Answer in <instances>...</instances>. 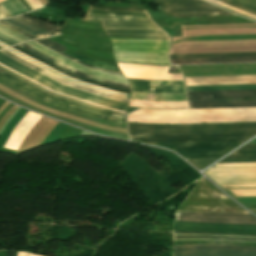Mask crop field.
Returning a JSON list of instances; mask_svg holds the SVG:
<instances>
[{"mask_svg": "<svg viewBox=\"0 0 256 256\" xmlns=\"http://www.w3.org/2000/svg\"><path fill=\"white\" fill-rule=\"evenodd\" d=\"M191 248H226V249H240V250H253V247H241V246H230V245H195V246H174V249H191Z\"/></svg>", "mask_w": 256, "mask_h": 256, "instance_id": "obj_26", "label": "crop field"}, {"mask_svg": "<svg viewBox=\"0 0 256 256\" xmlns=\"http://www.w3.org/2000/svg\"><path fill=\"white\" fill-rule=\"evenodd\" d=\"M0 37L5 38L15 44L21 43L27 40H31L5 26L0 25Z\"/></svg>", "mask_w": 256, "mask_h": 256, "instance_id": "obj_23", "label": "crop field"}, {"mask_svg": "<svg viewBox=\"0 0 256 256\" xmlns=\"http://www.w3.org/2000/svg\"><path fill=\"white\" fill-rule=\"evenodd\" d=\"M13 16L28 12L25 6L19 0H7L0 3Z\"/></svg>", "mask_w": 256, "mask_h": 256, "instance_id": "obj_24", "label": "crop field"}, {"mask_svg": "<svg viewBox=\"0 0 256 256\" xmlns=\"http://www.w3.org/2000/svg\"><path fill=\"white\" fill-rule=\"evenodd\" d=\"M245 56H256V53L170 55L171 59L215 58V57H245ZM171 62H172L173 65L217 64V63H247V62H256V57L216 58V59H186V60H171Z\"/></svg>", "mask_w": 256, "mask_h": 256, "instance_id": "obj_10", "label": "crop field"}, {"mask_svg": "<svg viewBox=\"0 0 256 256\" xmlns=\"http://www.w3.org/2000/svg\"><path fill=\"white\" fill-rule=\"evenodd\" d=\"M252 189H256V188H252ZM225 190L229 195H231L232 197H236L235 195H233L231 192H229L227 189H223Z\"/></svg>", "mask_w": 256, "mask_h": 256, "instance_id": "obj_41", "label": "crop field"}, {"mask_svg": "<svg viewBox=\"0 0 256 256\" xmlns=\"http://www.w3.org/2000/svg\"><path fill=\"white\" fill-rule=\"evenodd\" d=\"M0 52H2L3 54H5V55H7V56H9V57H11V58H13V59L23 63V64H25V65L35 69V70H37V71H39V72H41V73H43V74H45L47 76H49L50 78H52V79H54V80H56V81H58V82H60V83H62L64 85H66V86H70V87H73V88H77V89H81V90H84V91L92 92V93H95V94H98V95H101V96H104V97H108V98H111V99L129 102V99L119 98V97H116V96H113V95H110V94H106V93H103V92H100V91H96V90H93V89H90V88H86V87H83V86H80V85H76V84L67 82V81H65V80H63V79H61V78H59V77H57V76H55V75L45 71V70H43V69H41V68H39V67L29 63V62H27V61L17 57V56H15V55H13V54L5 51V50H1Z\"/></svg>", "mask_w": 256, "mask_h": 256, "instance_id": "obj_16", "label": "crop field"}, {"mask_svg": "<svg viewBox=\"0 0 256 256\" xmlns=\"http://www.w3.org/2000/svg\"><path fill=\"white\" fill-rule=\"evenodd\" d=\"M245 103H256V100L189 102V106H190V109L256 107V104H245ZM211 104H245V105H211ZM193 105H211V106H193Z\"/></svg>", "mask_w": 256, "mask_h": 256, "instance_id": "obj_18", "label": "crop field"}, {"mask_svg": "<svg viewBox=\"0 0 256 256\" xmlns=\"http://www.w3.org/2000/svg\"><path fill=\"white\" fill-rule=\"evenodd\" d=\"M0 42L6 44V45H8V46L14 45V44H12V43H10V42H8V41L2 39V38H0Z\"/></svg>", "mask_w": 256, "mask_h": 256, "instance_id": "obj_39", "label": "crop field"}, {"mask_svg": "<svg viewBox=\"0 0 256 256\" xmlns=\"http://www.w3.org/2000/svg\"><path fill=\"white\" fill-rule=\"evenodd\" d=\"M128 126L131 140L148 144L244 142L256 134V123Z\"/></svg>", "mask_w": 256, "mask_h": 256, "instance_id": "obj_1", "label": "crop field"}, {"mask_svg": "<svg viewBox=\"0 0 256 256\" xmlns=\"http://www.w3.org/2000/svg\"><path fill=\"white\" fill-rule=\"evenodd\" d=\"M174 17L235 16L200 0H155ZM238 16V15H237Z\"/></svg>", "mask_w": 256, "mask_h": 256, "instance_id": "obj_7", "label": "crop field"}, {"mask_svg": "<svg viewBox=\"0 0 256 256\" xmlns=\"http://www.w3.org/2000/svg\"><path fill=\"white\" fill-rule=\"evenodd\" d=\"M71 57H73V58H75V59H77V60H79L83 63H87L89 65L95 66L97 68L108 69V70L120 72L117 65H110V64H107V63L92 61V60L86 59V58H84V57H82V56H80L76 53H74Z\"/></svg>", "mask_w": 256, "mask_h": 256, "instance_id": "obj_25", "label": "crop field"}, {"mask_svg": "<svg viewBox=\"0 0 256 256\" xmlns=\"http://www.w3.org/2000/svg\"><path fill=\"white\" fill-rule=\"evenodd\" d=\"M36 41H37L38 43H40V44H42V45H44V46H46V47L52 49V50H54V51H56V52H58V53L64 55V56L68 57L69 59H71V60H73V61H75V62H77V63H79V64H81V65H83V66H88V65H86V64H83V63H81V62H79V61H77V60H75V59H73V58H71V57H69V56H67V55H65V54H63V53H61V52H59V51L53 49V48H51V47H49L48 45H46V44H44V43H42V42H40V41H38V40H36ZM88 67H91V66H88ZM92 68H94V67H92ZM95 69H97V68H95ZM98 70H101V69H98ZM101 71H105V72H109V73H115V74H121V75H122V73H117V72H112V71H106V70H101Z\"/></svg>", "mask_w": 256, "mask_h": 256, "instance_id": "obj_32", "label": "crop field"}, {"mask_svg": "<svg viewBox=\"0 0 256 256\" xmlns=\"http://www.w3.org/2000/svg\"><path fill=\"white\" fill-rule=\"evenodd\" d=\"M26 3L31 7L32 10L42 7L38 0H25Z\"/></svg>", "mask_w": 256, "mask_h": 256, "instance_id": "obj_34", "label": "crop field"}, {"mask_svg": "<svg viewBox=\"0 0 256 256\" xmlns=\"http://www.w3.org/2000/svg\"><path fill=\"white\" fill-rule=\"evenodd\" d=\"M0 63L4 64L5 66L33 79L34 81L63 94L72 96V97H76V98H80L83 100H87L96 104H100L109 108H113V109H117V110H123L126 111L128 108V103L125 102H120V101H115V100H111V99H107L104 97H100V96H96V95H92L83 91H79L70 87H66L44 75H42L41 73L30 69L18 62H16L15 60L3 55L2 53H0Z\"/></svg>", "mask_w": 256, "mask_h": 256, "instance_id": "obj_4", "label": "crop field"}, {"mask_svg": "<svg viewBox=\"0 0 256 256\" xmlns=\"http://www.w3.org/2000/svg\"><path fill=\"white\" fill-rule=\"evenodd\" d=\"M73 81V80H72ZM75 82V81H74ZM77 83V82H76ZM80 84V83H79ZM84 85V84H83ZM88 86V85H87ZM92 87V86H91ZM96 88V87H95ZM99 89V88H98ZM102 90V89H101ZM105 91V90H104ZM130 95H127V98H129Z\"/></svg>", "mask_w": 256, "mask_h": 256, "instance_id": "obj_44", "label": "crop field"}, {"mask_svg": "<svg viewBox=\"0 0 256 256\" xmlns=\"http://www.w3.org/2000/svg\"><path fill=\"white\" fill-rule=\"evenodd\" d=\"M256 162V155L254 156H228L219 163H244Z\"/></svg>", "mask_w": 256, "mask_h": 256, "instance_id": "obj_27", "label": "crop field"}, {"mask_svg": "<svg viewBox=\"0 0 256 256\" xmlns=\"http://www.w3.org/2000/svg\"><path fill=\"white\" fill-rule=\"evenodd\" d=\"M189 100L256 98V90L188 92Z\"/></svg>", "mask_w": 256, "mask_h": 256, "instance_id": "obj_14", "label": "crop field"}, {"mask_svg": "<svg viewBox=\"0 0 256 256\" xmlns=\"http://www.w3.org/2000/svg\"><path fill=\"white\" fill-rule=\"evenodd\" d=\"M0 23L3 24V25H5V26H7V27H9V28H11V29H13V30H15V31H17V32H19V33H21V34H24V35H26V36H28V37H30V38H32V39H35V38L29 36L28 34L22 32V31H19V30L15 29V28H13V27H11V26H8V25L2 23V22H0Z\"/></svg>", "mask_w": 256, "mask_h": 256, "instance_id": "obj_38", "label": "crop field"}, {"mask_svg": "<svg viewBox=\"0 0 256 256\" xmlns=\"http://www.w3.org/2000/svg\"><path fill=\"white\" fill-rule=\"evenodd\" d=\"M177 211L183 212H227L249 214L206 179H201L192 189Z\"/></svg>", "mask_w": 256, "mask_h": 256, "instance_id": "obj_3", "label": "crop field"}, {"mask_svg": "<svg viewBox=\"0 0 256 256\" xmlns=\"http://www.w3.org/2000/svg\"><path fill=\"white\" fill-rule=\"evenodd\" d=\"M173 233H185V234H208V233H190V232H173ZM226 235V234H223ZM233 236H252V235H233Z\"/></svg>", "mask_w": 256, "mask_h": 256, "instance_id": "obj_37", "label": "crop field"}, {"mask_svg": "<svg viewBox=\"0 0 256 256\" xmlns=\"http://www.w3.org/2000/svg\"><path fill=\"white\" fill-rule=\"evenodd\" d=\"M16 18H18V19H20L22 21H25L27 23L33 24L35 26H38V27H40V28H42V29H44V30L54 34V35L59 34V32L62 30V29H60V28H58V27H56L54 25H51V24L46 23V22H43L41 20L29 18V17H27L25 15H22V16H19V17H16Z\"/></svg>", "mask_w": 256, "mask_h": 256, "instance_id": "obj_22", "label": "crop field"}, {"mask_svg": "<svg viewBox=\"0 0 256 256\" xmlns=\"http://www.w3.org/2000/svg\"><path fill=\"white\" fill-rule=\"evenodd\" d=\"M127 80L131 91L185 93L183 81Z\"/></svg>", "mask_w": 256, "mask_h": 256, "instance_id": "obj_13", "label": "crop field"}, {"mask_svg": "<svg viewBox=\"0 0 256 256\" xmlns=\"http://www.w3.org/2000/svg\"><path fill=\"white\" fill-rule=\"evenodd\" d=\"M249 210L256 212V209H254V208H249Z\"/></svg>", "mask_w": 256, "mask_h": 256, "instance_id": "obj_43", "label": "crop field"}, {"mask_svg": "<svg viewBox=\"0 0 256 256\" xmlns=\"http://www.w3.org/2000/svg\"><path fill=\"white\" fill-rule=\"evenodd\" d=\"M174 238H222V237H174ZM223 239H235V238H223ZM238 240L256 241V239H238Z\"/></svg>", "mask_w": 256, "mask_h": 256, "instance_id": "obj_35", "label": "crop field"}, {"mask_svg": "<svg viewBox=\"0 0 256 256\" xmlns=\"http://www.w3.org/2000/svg\"><path fill=\"white\" fill-rule=\"evenodd\" d=\"M214 165L205 172L220 188L256 187V163ZM217 166V167H215ZM215 167V168H214ZM214 168V169H213ZM213 169V170H211ZM211 170V171H210ZM210 171V172H208ZM213 176L211 177L208 173Z\"/></svg>", "mask_w": 256, "mask_h": 256, "instance_id": "obj_6", "label": "crop field"}, {"mask_svg": "<svg viewBox=\"0 0 256 256\" xmlns=\"http://www.w3.org/2000/svg\"><path fill=\"white\" fill-rule=\"evenodd\" d=\"M3 22L19 29L22 30L28 34H30L31 36L35 37V38H42V37H49V36H53L33 25L27 24L25 22H22L16 18L13 19H8V20H2Z\"/></svg>", "mask_w": 256, "mask_h": 256, "instance_id": "obj_19", "label": "crop field"}, {"mask_svg": "<svg viewBox=\"0 0 256 256\" xmlns=\"http://www.w3.org/2000/svg\"><path fill=\"white\" fill-rule=\"evenodd\" d=\"M256 153V144H246L232 154H254Z\"/></svg>", "mask_w": 256, "mask_h": 256, "instance_id": "obj_30", "label": "crop field"}, {"mask_svg": "<svg viewBox=\"0 0 256 256\" xmlns=\"http://www.w3.org/2000/svg\"><path fill=\"white\" fill-rule=\"evenodd\" d=\"M12 48H14V49H16V50H19V51L22 52L23 54H25V55H27V56H29V57H31V58L37 60V61H40V62H42V63H44V64H46V65H48V66H50V67H52V68H54V69H56L57 71H59V72L65 74V75H67V76H69V77H71V78H74V79H76V80H78V81L85 82V83H89V84H93V85L100 86V87H104V88H107V89H110V90H114V91H117V92H122V93H128V94H130V90H125V89L116 88V87H113V86H110V85H106V84H103V83H100V82H96V81H93V80H90V79H86V78L79 77V76H77V75H75V74H72V73H70V72H68V71H66V70H64V69H62V68H60V67H58V66H56V65H54V64H52V63H50V62H48V61H46V60L40 58V57L37 56V55H35V54H33V53H31V52H29V51H27V50H24V49L18 47V46L12 47Z\"/></svg>", "mask_w": 256, "mask_h": 256, "instance_id": "obj_17", "label": "crop field"}, {"mask_svg": "<svg viewBox=\"0 0 256 256\" xmlns=\"http://www.w3.org/2000/svg\"><path fill=\"white\" fill-rule=\"evenodd\" d=\"M40 256V255H39Z\"/></svg>", "mask_w": 256, "mask_h": 256, "instance_id": "obj_46", "label": "crop field"}, {"mask_svg": "<svg viewBox=\"0 0 256 256\" xmlns=\"http://www.w3.org/2000/svg\"><path fill=\"white\" fill-rule=\"evenodd\" d=\"M0 14L3 15L5 18L12 17L3 7L0 6Z\"/></svg>", "mask_w": 256, "mask_h": 256, "instance_id": "obj_36", "label": "crop field"}, {"mask_svg": "<svg viewBox=\"0 0 256 256\" xmlns=\"http://www.w3.org/2000/svg\"><path fill=\"white\" fill-rule=\"evenodd\" d=\"M21 46L25 47L26 49H28V50H30V51L36 53V54L39 53L38 51H36V50H34V49H32V48H30V47L24 45V44H21ZM40 54H42V53H40ZM40 54H38V55H40ZM43 55H44V54H43ZM43 55H40V56H42V57L46 58L47 60L51 61V58L45 57L46 55H45V56H43ZM52 60L55 61L57 65H59V66H61V67H63V68L66 67V68H68V69L74 71L73 69H71V68H69V67H67V66H65V65H63V64H61L60 62H58V61H56V60H54V59H52ZM51 62H52V61H51ZM68 71H69V70H68ZM70 72H71V71H70ZM72 73H73V72H72ZM75 74H77V75H79V76H83V77H87V78L93 79L92 76H89V75H86V74H83V73H80V72H77V71H75ZM94 80L102 81L103 79L94 77ZM103 82H105L106 84H110V85L116 86V87H121V88H125V89H130V88H129V85H126V84H120V83H116V82H112V81H108V80H103Z\"/></svg>", "mask_w": 256, "mask_h": 256, "instance_id": "obj_20", "label": "crop field"}, {"mask_svg": "<svg viewBox=\"0 0 256 256\" xmlns=\"http://www.w3.org/2000/svg\"><path fill=\"white\" fill-rule=\"evenodd\" d=\"M79 20L101 22L108 37L169 40L168 35L150 21L145 10L90 5L86 18Z\"/></svg>", "mask_w": 256, "mask_h": 256, "instance_id": "obj_2", "label": "crop field"}, {"mask_svg": "<svg viewBox=\"0 0 256 256\" xmlns=\"http://www.w3.org/2000/svg\"><path fill=\"white\" fill-rule=\"evenodd\" d=\"M175 220L190 222L256 225V218L254 216L242 214L177 212Z\"/></svg>", "mask_w": 256, "mask_h": 256, "instance_id": "obj_9", "label": "crop field"}, {"mask_svg": "<svg viewBox=\"0 0 256 256\" xmlns=\"http://www.w3.org/2000/svg\"><path fill=\"white\" fill-rule=\"evenodd\" d=\"M174 256H256V252L226 249L174 250Z\"/></svg>", "mask_w": 256, "mask_h": 256, "instance_id": "obj_15", "label": "crop field"}, {"mask_svg": "<svg viewBox=\"0 0 256 256\" xmlns=\"http://www.w3.org/2000/svg\"><path fill=\"white\" fill-rule=\"evenodd\" d=\"M256 15V0H218Z\"/></svg>", "mask_w": 256, "mask_h": 256, "instance_id": "obj_21", "label": "crop field"}, {"mask_svg": "<svg viewBox=\"0 0 256 256\" xmlns=\"http://www.w3.org/2000/svg\"><path fill=\"white\" fill-rule=\"evenodd\" d=\"M216 160L217 159H203V160H187V161L190 162L198 170H202Z\"/></svg>", "mask_w": 256, "mask_h": 256, "instance_id": "obj_29", "label": "crop field"}, {"mask_svg": "<svg viewBox=\"0 0 256 256\" xmlns=\"http://www.w3.org/2000/svg\"><path fill=\"white\" fill-rule=\"evenodd\" d=\"M4 18L3 16L0 15V19Z\"/></svg>", "mask_w": 256, "mask_h": 256, "instance_id": "obj_45", "label": "crop field"}, {"mask_svg": "<svg viewBox=\"0 0 256 256\" xmlns=\"http://www.w3.org/2000/svg\"><path fill=\"white\" fill-rule=\"evenodd\" d=\"M0 68H2V67H0ZM2 69H4V68H2ZM4 70H6V69H4ZM6 71H8V70H6ZM8 72H10V71H8ZM10 73L13 74V75H15V76H17V77H19V78H21V79H23L22 77H20V76L14 74V73H12V72H10ZM23 80H25V79H23ZM25 81H27V80H25ZM27 82H29V81H27ZM29 83H31V82H29ZM31 84H33V83H31ZM33 85H35V84H33ZM35 86H36V85H35ZM37 87H38V86H37ZM39 88H40V87H39ZM41 89H43V88H41ZM43 90H45V89H43ZM45 91H47V90H45ZM47 92H49V91H47ZM49 93H51V94H53V95H56V96H60V95L54 94V93H52V92H49ZM60 97H63V96H60ZM63 98H65V97H63ZM66 99H68V98H66ZM69 100H71V99H69ZM72 101H75V100H72ZM76 102H79V101H76ZM79 103H82V102H79ZM82 104H85V105H88V106H92V107H95V108H99V109H102V110H106V111L111 112V113H115V112H112V111H110V110H107V109H104V108H100V107H97V106H94V105H90V104H86V103H82ZM116 114H119V113H116ZM120 115H123V114H120ZM124 116H125V115H124Z\"/></svg>", "mask_w": 256, "mask_h": 256, "instance_id": "obj_31", "label": "crop field"}, {"mask_svg": "<svg viewBox=\"0 0 256 256\" xmlns=\"http://www.w3.org/2000/svg\"><path fill=\"white\" fill-rule=\"evenodd\" d=\"M249 143H256V138H254L252 141H250Z\"/></svg>", "mask_w": 256, "mask_h": 256, "instance_id": "obj_42", "label": "crop field"}, {"mask_svg": "<svg viewBox=\"0 0 256 256\" xmlns=\"http://www.w3.org/2000/svg\"><path fill=\"white\" fill-rule=\"evenodd\" d=\"M7 256H17V252H15V251H7Z\"/></svg>", "mask_w": 256, "mask_h": 256, "instance_id": "obj_40", "label": "crop field"}, {"mask_svg": "<svg viewBox=\"0 0 256 256\" xmlns=\"http://www.w3.org/2000/svg\"><path fill=\"white\" fill-rule=\"evenodd\" d=\"M0 78L13 84L14 86L34 95L35 97L50 103V104H54L60 107H64L67 109H71L77 112H81L87 115H91V116H95L98 118H102L105 119L107 121H111V122H116V123H120V124H125V117L124 116H120V115H116V114H111L108 113L106 111H102L99 109H95L92 107H88L79 103H75L63 98H59L56 96H53L51 94H48L36 87H34L33 85L11 75L10 73L0 69Z\"/></svg>", "mask_w": 256, "mask_h": 256, "instance_id": "obj_5", "label": "crop field"}, {"mask_svg": "<svg viewBox=\"0 0 256 256\" xmlns=\"http://www.w3.org/2000/svg\"><path fill=\"white\" fill-rule=\"evenodd\" d=\"M26 45L38 50V51H41L43 52L44 54H47L49 56H51L52 58L70 66L71 68L77 70V71H80V72H83V73H86V74H89V75H92V76H96V77H102V78H106V79H109V80H113V81H116V82H120V83H126L128 84V82L126 81L125 77L124 76H120V75H114V74H109V73H105V72H101V71H98V70H95V69H92V68H87V67H83L43 46H41L40 44H38L37 42L35 41H32V42H29V43H25Z\"/></svg>", "mask_w": 256, "mask_h": 256, "instance_id": "obj_12", "label": "crop field"}, {"mask_svg": "<svg viewBox=\"0 0 256 256\" xmlns=\"http://www.w3.org/2000/svg\"><path fill=\"white\" fill-rule=\"evenodd\" d=\"M235 87H256V85L187 87V89H188V91H203V90H190V89H205V88H235ZM235 89H256V88H235ZM235 89H205V90H235Z\"/></svg>", "mask_w": 256, "mask_h": 256, "instance_id": "obj_28", "label": "crop field"}, {"mask_svg": "<svg viewBox=\"0 0 256 256\" xmlns=\"http://www.w3.org/2000/svg\"><path fill=\"white\" fill-rule=\"evenodd\" d=\"M173 231L256 235V226L174 222Z\"/></svg>", "mask_w": 256, "mask_h": 256, "instance_id": "obj_11", "label": "crop field"}, {"mask_svg": "<svg viewBox=\"0 0 256 256\" xmlns=\"http://www.w3.org/2000/svg\"><path fill=\"white\" fill-rule=\"evenodd\" d=\"M242 143L193 144V145H156L171 149L185 159L220 158Z\"/></svg>", "mask_w": 256, "mask_h": 256, "instance_id": "obj_8", "label": "crop field"}, {"mask_svg": "<svg viewBox=\"0 0 256 256\" xmlns=\"http://www.w3.org/2000/svg\"><path fill=\"white\" fill-rule=\"evenodd\" d=\"M40 41L48 44L49 46H51V47H53V48H55V49H57V50H59L61 52H64V50H65L64 46H62V45H60V44H58V43H56L54 41H50V40H47V39H42Z\"/></svg>", "mask_w": 256, "mask_h": 256, "instance_id": "obj_33", "label": "crop field"}]
</instances>
